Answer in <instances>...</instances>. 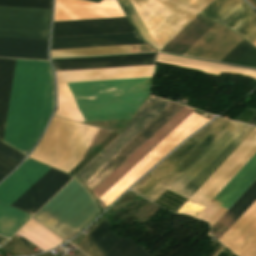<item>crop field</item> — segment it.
I'll use <instances>...</instances> for the list:
<instances>
[{
    "label": "crop field",
    "instance_id": "crop-field-1",
    "mask_svg": "<svg viewBox=\"0 0 256 256\" xmlns=\"http://www.w3.org/2000/svg\"><path fill=\"white\" fill-rule=\"evenodd\" d=\"M228 122L229 120L219 118L205 130L200 131V134L193 136L154 169L170 168L181 176L169 169H159L155 172L153 170L152 174L149 173L150 176L149 174L148 177L146 176L152 181L146 177L141 180L145 184L151 181L150 183L145 185L139 182L131 190L153 201L180 176L168 189L189 199L254 129L236 122ZM197 135L207 143L218 136L206 144Z\"/></svg>",
    "mask_w": 256,
    "mask_h": 256
},
{
    "label": "crop field",
    "instance_id": "crop-field-2",
    "mask_svg": "<svg viewBox=\"0 0 256 256\" xmlns=\"http://www.w3.org/2000/svg\"><path fill=\"white\" fill-rule=\"evenodd\" d=\"M152 78L67 83L85 121L132 118L147 99ZM67 84H57V117L84 121Z\"/></svg>",
    "mask_w": 256,
    "mask_h": 256
},
{
    "label": "crop field",
    "instance_id": "crop-field-3",
    "mask_svg": "<svg viewBox=\"0 0 256 256\" xmlns=\"http://www.w3.org/2000/svg\"><path fill=\"white\" fill-rule=\"evenodd\" d=\"M35 61L17 60L4 142L20 150ZM54 106L48 62L36 61L21 152L28 154Z\"/></svg>",
    "mask_w": 256,
    "mask_h": 256
},
{
    "label": "crop field",
    "instance_id": "crop-field-4",
    "mask_svg": "<svg viewBox=\"0 0 256 256\" xmlns=\"http://www.w3.org/2000/svg\"><path fill=\"white\" fill-rule=\"evenodd\" d=\"M48 169L27 158L16 172L0 184V202L10 206ZM71 178L70 175L50 168L11 206L33 215Z\"/></svg>",
    "mask_w": 256,
    "mask_h": 256
},
{
    "label": "crop field",
    "instance_id": "crop-field-5",
    "mask_svg": "<svg viewBox=\"0 0 256 256\" xmlns=\"http://www.w3.org/2000/svg\"><path fill=\"white\" fill-rule=\"evenodd\" d=\"M157 54L53 61L55 70L154 65ZM154 66L56 71L57 83L152 77Z\"/></svg>",
    "mask_w": 256,
    "mask_h": 256
},
{
    "label": "crop field",
    "instance_id": "crop-field-6",
    "mask_svg": "<svg viewBox=\"0 0 256 256\" xmlns=\"http://www.w3.org/2000/svg\"><path fill=\"white\" fill-rule=\"evenodd\" d=\"M242 40L230 30L215 23L183 55L220 61ZM221 61L256 67V48L243 40Z\"/></svg>",
    "mask_w": 256,
    "mask_h": 256
},
{
    "label": "crop field",
    "instance_id": "crop-field-7",
    "mask_svg": "<svg viewBox=\"0 0 256 256\" xmlns=\"http://www.w3.org/2000/svg\"><path fill=\"white\" fill-rule=\"evenodd\" d=\"M207 121L209 120L192 112L146 156H144L133 168H131L120 180H118L106 193L100 197L105 206L107 207L110 203H112L153 165H155L160 159H162L166 154H168L172 149H174Z\"/></svg>",
    "mask_w": 256,
    "mask_h": 256
},
{
    "label": "crop field",
    "instance_id": "crop-field-8",
    "mask_svg": "<svg viewBox=\"0 0 256 256\" xmlns=\"http://www.w3.org/2000/svg\"><path fill=\"white\" fill-rule=\"evenodd\" d=\"M256 152V128L177 212L195 217Z\"/></svg>",
    "mask_w": 256,
    "mask_h": 256
},
{
    "label": "crop field",
    "instance_id": "crop-field-9",
    "mask_svg": "<svg viewBox=\"0 0 256 256\" xmlns=\"http://www.w3.org/2000/svg\"><path fill=\"white\" fill-rule=\"evenodd\" d=\"M51 9L0 6V37L48 40Z\"/></svg>",
    "mask_w": 256,
    "mask_h": 256
},
{
    "label": "crop field",
    "instance_id": "crop-field-10",
    "mask_svg": "<svg viewBox=\"0 0 256 256\" xmlns=\"http://www.w3.org/2000/svg\"><path fill=\"white\" fill-rule=\"evenodd\" d=\"M251 9L242 0H214L200 15L231 28L252 44L256 40V13Z\"/></svg>",
    "mask_w": 256,
    "mask_h": 256
},
{
    "label": "crop field",
    "instance_id": "crop-field-11",
    "mask_svg": "<svg viewBox=\"0 0 256 256\" xmlns=\"http://www.w3.org/2000/svg\"><path fill=\"white\" fill-rule=\"evenodd\" d=\"M182 107L171 102L84 183L92 191Z\"/></svg>",
    "mask_w": 256,
    "mask_h": 256
},
{
    "label": "crop field",
    "instance_id": "crop-field-12",
    "mask_svg": "<svg viewBox=\"0 0 256 256\" xmlns=\"http://www.w3.org/2000/svg\"><path fill=\"white\" fill-rule=\"evenodd\" d=\"M256 179V153L216 195L211 203L229 208ZM209 203L196 218L208 221L212 227L227 208Z\"/></svg>",
    "mask_w": 256,
    "mask_h": 256
},
{
    "label": "crop field",
    "instance_id": "crop-field-13",
    "mask_svg": "<svg viewBox=\"0 0 256 256\" xmlns=\"http://www.w3.org/2000/svg\"><path fill=\"white\" fill-rule=\"evenodd\" d=\"M168 104L169 102L150 96L125 131L83 169L77 177L84 182Z\"/></svg>",
    "mask_w": 256,
    "mask_h": 256
},
{
    "label": "crop field",
    "instance_id": "crop-field-14",
    "mask_svg": "<svg viewBox=\"0 0 256 256\" xmlns=\"http://www.w3.org/2000/svg\"><path fill=\"white\" fill-rule=\"evenodd\" d=\"M96 4L79 0H56L54 21L124 16L116 0H104Z\"/></svg>",
    "mask_w": 256,
    "mask_h": 256
},
{
    "label": "crop field",
    "instance_id": "crop-field-15",
    "mask_svg": "<svg viewBox=\"0 0 256 256\" xmlns=\"http://www.w3.org/2000/svg\"><path fill=\"white\" fill-rule=\"evenodd\" d=\"M134 31L126 17L54 22L52 37Z\"/></svg>",
    "mask_w": 256,
    "mask_h": 256
},
{
    "label": "crop field",
    "instance_id": "crop-field-16",
    "mask_svg": "<svg viewBox=\"0 0 256 256\" xmlns=\"http://www.w3.org/2000/svg\"><path fill=\"white\" fill-rule=\"evenodd\" d=\"M135 32L52 38L51 50L139 44Z\"/></svg>",
    "mask_w": 256,
    "mask_h": 256
},
{
    "label": "crop field",
    "instance_id": "crop-field-17",
    "mask_svg": "<svg viewBox=\"0 0 256 256\" xmlns=\"http://www.w3.org/2000/svg\"><path fill=\"white\" fill-rule=\"evenodd\" d=\"M117 235L105 218L76 247L88 256H103L121 239Z\"/></svg>",
    "mask_w": 256,
    "mask_h": 256
},
{
    "label": "crop field",
    "instance_id": "crop-field-18",
    "mask_svg": "<svg viewBox=\"0 0 256 256\" xmlns=\"http://www.w3.org/2000/svg\"><path fill=\"white\" fill-rule=\"evenodd\" d=\"M48 41L0 38V56L48 59Z\"/></svg>",
    "mask_w": 256,
    "mask_h": 256
},
{
    "label": "crop field",
    "instance_id": "crop-field-19",
    "mask_svg": "<svg viewBox=\"0 0 256 256\" xmlns=\"http://www.w3.org/2000/svg\"><path fill=\"white\" fill-rule=\"evenodd\" d=\"M157 61L173 64L177 66L187 67L191 69H196V70H200V71H204V72L212 73L216 75H219L220 72H225V73L239 74V75H245V76L256 78V70L208 63L203 61H197V60H191V59H185V58H179V57H173V56H167V55H161V54L158 55Z\"/></svg>",
    "mask_w": 256,
    "mask_h": 256
},
{
    "label": "crop field",
    "instance_id": "crop-field-20",
    "mask_svg": "<svg viewBox=\"0 0 256 256\" xmlns=\"http://www.w3.org/2000/svg\"><path fill=\"white\" fill-rule=\"evenodd\" d=\"M16 60L0 59V139L3 140Z\"/></svg>",
    "mask_w": 256,
    "mask_h": 256
},
{
    "label": "crop field",
    "instance_id": "crop-field-21",
    "mask_svg": "<svg viewBox=\"0 0 256 256\" xmlns=\"http://www.w3.org/2000/svg\"><path fill=\"white\" fill-rule=\"evenodd\" d=\"M17 234L44 251L56 248L64 241L32 219Z\"/></svg>",
    "mask_w": 256,
    "mask_h": 256
},
{
    "label": "crop field",
    "instance_id": "crop-field-22",
    "mask_svg": "<svg viewBox=\"0 0 256 256\" xmlns=\"http://www.w3.org/2000/svg\"><path fill=\"white\" fill-rule=\"evenodd\" d=\"M30 217L0 203V234L10 238Z\"/></svg>",
    "mask_w": 256,
    "mask_h": 256
},
{
    "label": "crop field",
    "instance_id": "crop-field-23",
    "mask_svg": "<svg viewBox=\"0 0 256 256\" xmlns=\"http://www.w3.org/2000/svg\"><path fill=\"white\" fill-rule=\"evenodd\" d=\"M255 200L256 181L236 201V203L220 218L218 222L229 229Z\"/></svg>",
    "mask_w": 256,
    "mask_h": 256
},
{
    "label": "crop field",
    "instance_id": "crop-field-24",
    "mask_svg": "<svg viewBox=\"0 0 256 256\" xmlns=\"http://www.w3.org/2000/svg\"><path fill=\"white\" fill-rule=\"evenodd\" d=\"M131 53L130 45L51 51L52 58Z\"/></svg>",
    "mask_w": 256,
    "mask_h": 256
},
{
    "label": "crop field",
    "instance_id": "crop-field-25",
    "mask_svg": "<svg viewBox=\"0 0 256 256\" xmlns=\"http://www.w3.org/2000/svg\"><path fill=\"white\" fill-rule=\"evenodd\" d=\"M119 4L121 5L122 9L124 10L126 16L128 17L129 21L139 34L142 40L148 43L157 51L159 50L155 42L153 41L152 37L150 36L149 32L147 31L146 27L142 23L141 19L139 18L138 14L134 10L133 6L131 5L129 0H118Z\"/></svg>",
    "mask_w": 256,
    "mask_h": 256
},
{
    "label": "crop field",
    "instance_id": "crop-field-26",
    "mask_svg": "<svg viewBox=\"0 0 256 256\" xmlns=\"http://www.w3.org/2000/svg\"><path fill=\"white\" fill-rule=\"evenodd\" d=\"M104 256H152L141 245L135 244L130 238H122Z\"/></svg>",
    "mask_w": 256,
    "mask_h": 256
},
{
    "label": "crop field",
    "instance_id": "crop-field-27",
    "mask_svg": "<svg viewBox=\"0 0 256 256\" xmlns=\"http://www.w3.org/2000/svg\"><path fill=\"white\" fill-rule=\"evenodd\" d=\"M24 157L0 142V173L6 176Z\"/></svg>",
    "mask_w": 256,
    "mask_h": 256
},
{
    "label": "crop field",
    "instance_id": "crop-field-28",
    "mask_svg": "<svg viewBox=\"0 0 256 256\" xmlns=\"http://www.w3.org/2000/svg\"><path fill=\"white\" fill-rule=\"evenodd\" d=\"M0 5L51 8L52 0H0Z\"/></svg>",
    "mask_w": 256,
    "mask_h": 256
},
{
    "label": "crop field",
    "instance_id": "crop-field-29",
    "mask_svg": "<svg viewBox=\"0 0 256 256\" xmlns=\"http://www.w3.org/2000/svg\"><path fill=\"white\" fill-rule=\"evenodd\" d=\"M256 9V0H247Z\"/></svg>",
    "mask_w": 256,
    "mask_h": 256
},
{
    "label": "crop field",
    "instance_id": "crop-field-30",
    "mask_svg": "<svg viewBox=\"0 0 256 256\" xmlns=\"http://www.w3.org/2000/svg\"><path fill=\"white\" fill-rule=\"evenodd\" d=\"M225 247L223 246L214 256H218Z\"/></svg>",
    "mask_w": 256,
    "mask_h": 256
},
{
    "label": "crop field",
    "instance_id": "crop-field-31",
    "mask_svg": "<svg viewBox=\"0 0 256 256\" xmlns=\"http://www.w3.org/2000/svg\"><path fill=\"white\" fill-rule=\"evenodd\" d=\"M4 177H5V176H3V175L0 174V181H1Z\"/></svg>",
    "mask_w": 256,
    "mask_h": 256
},
{
    "label": "crop field",
    "instance_id": "crop-field-32",
    "mask_svg": "<svg viewBox=\"0 0 256 256\" xmlns=\"http://www.w3.org/2000/svg\"><path fill=\"white\" fill-rule=\"evenodd\" d=\"M78 256H85V255L80 252V253L78 254Z\"/></svg>",
    "mask_w": 256,
    "mask_h": 256
},
{
    "label": "crop field",
    "instance_id": "crop-field-33",
    "mask_svg": "<svg viewBox=\"0 0 256 256\" xmlns=\"http://www.w3.org/2000/svg\"><path fill=\"white\" fill-rule=\"evenodd\" d=\"M90 1H95V2H99L100 0H90Z\"/></svg>",
    "mask_w": 256,
    "mask_h": 256
},
{
    "label": "crop field",
    "instance_id": "crop-field-34",
    "mask_svg": "<svg viewBox=\"0 0 256 256\" xmlns=\"http://www.w3.org/2000/svg\"><path fill=\"white\" fill-rule=\"evenodd\" d=\"M252 45H254L256 47V41Z\"/></svg>",
    "mask_w": 256,
    "mask_h": 256
}]
</instances>
